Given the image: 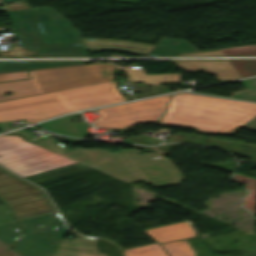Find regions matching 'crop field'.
<instances>
[{
    "mask_svg": "<svg viewBox=\"0 0 256 256\" xmlns=\"http://www.w3.org/2000/svg\"><path fill=\"white\" fill-rule=\"evenodd\" d=\"M256 116V104L194 93L174 94L159 124L231 134Z\"/></svg>",
    "mask_w": 256,
    "mask_h": 256,
    "instance_id": "8a807250",
    "label": "crop field"
},
{
    "mask_svg": "<svg viewBox=\"0 0 256 256\" xmlns=\"http://www.w3.org/2000/svg\"><path fill=\"white\" fill-rule=\"evenodd\" d=\"M115 81L0 101V121L26 119L28 124L61 114L124 101Z\"/></svg>",
    "mask_w": 256,
    "mask_h": 256,
    "instance_id": "ac0d7876",
    "label": "crop field"
},
{
    "mask_svg": "<svg viewBox=\"0 0 256 256\" xmlns=\"http://www.w3.org/2000/svg\"><path fill=\"white\" fill-rule=\"evenodd\" d=\"M120 69L113 64H89L73 67L30 70L25 81L0 83V100L41 94L60 89L114 80L112 71ZM12 92L10 96H5Z\"/></svg>",
    "mask_w": 256,
    "mask_h": 256,
    "instance_id": "34b2d1b8",
    "label": "crop field"
},
{
    "mask_svg": "<svg viewBox=\"0 0 256 256\" xmlns=\"http://www.w3.org/2000/svg\"><path fill=\"white\" fill-rule=\"evenodd\" d=\"M77 163L17 135L0 136V164L25 177Z\"/></svg>",
    "mask_w": 256,
    "mask_h": 256,
    "instance_id": "412701ff",
    "label": "crop field"
},
{
    "mask_svg": "<svg viewBox=\"0 0 256 256\" xmlns=\"http://www.w3.org/2000/svg\"><path fill=\"white\" fill-rule=\"evenodd\" d=\"M0 200L16 220L56 212L45 192L0 167Z\"/></svg>",
    "mask_w": 256,
    "mask_h": 256,
    "instance_id": "f4fd0767",
    "label": "crop field"
},
{
    "mask_svg": "<svg viewBox=\"0 0 256 256\" xmlns=\"http://www.w3.org/2000/svg\"><path fill=\"white\" fill-rule=\"evenodd\" d=\"M18 222L24 231L14 249L26 256H52L68 231L58 212Z\"/></svg>",
    "mask_w": 256,
    "mask_h": 256,
    "instance_id": "dd49c442",
    "label": "crop field"
},
{
    "mask_svg": "<svg viewBox=\"0 0 256 256\" xmlns=\"http://www.w3.org/2000/svg\"><path fill=\"white\" fill-rule=\"evenodd\" d=\"M34 144L73 159L77 162H80L125 182L141 180L140 175L133 170V168L129 165V163L120 152L109 153L99 149L82 148H74L73 150H69L50 137H47Z\"/></svg>",
    "mask_w": 256,
    "mask_h": 256,
    "instance_id": "e52e79f7",
    "label": "crop field"
},
{
    "mask_svg": "<svg viewBox=\"0 0 256 256\" xmlns=\"http://www.w3.org/2000/svg\"><path fill=\"white\" fill-rule=\"evenodd\" d=\"M170 95L100 108L94 124L104 128H124L133 124L158 121Z\"/></svg>",
    "mask_w": 256,
    "mask_h": 256,
    "instance_id": "d8731c3e",
    "label": "crop field"
},
{
    "mask_svg": "<svg viewBox=\"0 0 256 256\" xmlns=\"http://www.w3.org/2000/svg\"><path fill=\"white\" fill-rule=\"evenodd\" d=\"M144 182L154 188L181 184L184 180L174 164L156 153L136 155L139 150H119ZM186 180V179H185Z\"/></svg>",
    "mask_w": 256,
    "mask_h": 256,
    "instance_id": "5a996713",
    "label": "crop field"
},
{
    "mask_svg": "<svg viewBox=\"0 0 256 256\" xmlns=\"http://www.w3.org/2000/svg\"><path fill=\"white\" fill-rule=\"evenodd\" d=\"M43 32L45 45L84 44L80 31L50 7L33 9Z\"/></svg>",
    "mask_w": 256,
    "mask_h": 256,
    "instance_id": "3316defc",
    "label": "crop field"
},
{
    "mask_svg": "<svg viewBox=\"0 0 256 256\" xmlns=\"http://www.w3.org/2000/svg\"><path fill=\"white\" fill-rule=\"evenodd\" d=\"M8 14L21 46L37 52L42 46V38L31 10L11 11Z\"/></svg>",
    "mask_w": 256,
    "mask_h": 256,
    "instance_id": "28ad6ade",
    "label": "crop field"
},
{
    "mask_svg": "<svg viewBox=\"0 0 256 256\" xmlns=\"http://www.w3.org/2000/svg\"><path fill=\"white\" fill-rule=\"evenodd\" d=\"M173 62L187 71L203 69L207 72L214 73L221 82L241 78L240 74L227 60H190Z\"/></svg>",
    "mask_w": 256,
    "mask_h": 256,
    "instance_id": "d1516ede",
    "label": "crop field"
},
{
    "mask_svg": "<svg viewBox=\"0 0 256 256\" xmlns=\"http://www.w3.org/2000/svg\"><path fill=\"white\" fill-rule=\"evenodd\" d=\"M97 238L81 237L74 241L63 239L54 256H107L97 252Z\"/></svg>",
    "mask_w": 256,
    "mask_h": 256,
    "instance_id": "22f410ed",
    "label": "crop field"
},
{
    "mask_svg": "<svg viewBox=\"0 0 256 256\" xmlns=\"http://www.w3.org/2000/svg\"><path fill=\"white\" fill-rule=\"evenodd\" d=\"M145 232H147L159 243L195 236L193 230L187 222H179L167 226H162L146 230Z\"/></svg>",
    "mask_w": 256,
    "mask_h": 256,
    "instance_id": "cbeb9de0",
    "label": "crop field"
},
{
    "mask_svg": "<svg viewBox=\"0 0 256 256\" xmlns=\"http://www.w3.org/2000/svg\"><path fill=\"white\" fill-rule=\"evenodd\" d=\"M79 116H81L79 113L74 115H67L58 119L44 122L39 125L42 128H45L49 131L66 134V135L79 136V137L90 135L86 125H83L81 123L72 124L69 119L72 117H79Z\"/></svg>",
    "mask_w": 256,
    "mask_h": 256,
    "instance_id": "5142ce71",
    "label": "crop field"
},
{
    "mask_svg": "<svg viewBox=\"0 0 256 256\" xmlns=\"http://www.w3.org/2000/svg\"><path fill=\"white\" fill-rule=\"evenodd\" d=\"M198 52L189 42L180 39L161 38L146 56L177 55Z\"/></svg>",
    "mask_w": 256,
    "mask_h": 256,
    "instance_id": "d9b57169",
    "label": "crop field"
},
{
    "mask_svg": "<svg viewBox=\"0 0 256 256\" xmlns=\"http://www.w3.org/2000/svg\"><path fill=\"white\" fill-rule=\"evenodd\" d=\"M83 64V61L13 62L0 61V73Z\"/></svg>",
    "mask_w": 256,
    "mask_h": 256,
    "instance_id": "733c2abd",
    "label": "crop field"
},
{
    "mask_svg": "<svg viewBox=\"0 0 256 256\" xmlns=\"http://www.w3.org/2000/svg\"><path fill=\"white\" fill-rule=\"evenodd\" d=\"M84 45H49L42 46L35 56H85Z\"/></svg>",
    "mask_w": 256,
    "mask_h": 256,
    "instance_id": "4a817a6b",
    "label": "crop field"
},
{
    "mask_svg": "<svg viewBox=\"0 0 256 256\" xmlns=\"http://www.w3.org/2000/svg\"><path fill=\"white\" fill-rule=\"evenodd\" d=\"M129 79L132 81L144 82L149 84H163V83H180L179 74L166 75H144L143 71H127ZM165 77V79H162Z\"/></svg>",
    "mask_w": 256,
    "mask_h": 256,
    "instance_id": "bc2a9ffb",
    "label": "crop field"
},
{
    "mask_svg": "<svg viewBox=\"0 0 256 256\" xmlns=\"http://www.w3.org/2000/svg\"><path fill=\"white\" fill-rule=\"evenodd\" d=\"M126 256H168L160 245H146L124 250Z\"/></svg>",
    "mask_w": 256,
    "mask_h": 256,
    "instance_id": "214f88e0",
    "label": "crop field"
},
{
    "mask_svg": "<svg viewBox=\"0 0 256 256\" xmlns=\"http://www.w3.org/2000/svg\"><path fill=\"white\" fill-rule=\"evenodd\" d=\"M20 227L16 222L0 226V240L11 246L14 244L19 234L21 233Z\"/></svg>",
    "mask_w": 256,
    "mask_h": 256,
    "instance_id": "92a150f3",
    "label": "crop field"
},
{
    "mask_svg": "<svg viewBox=\"0 0 256 256\" xmlns=\"http://www.w3.org/2000/svg\"><path fill=\"white\" fill-rule=\"evenodd\" d=\"M242 77L256 75V60H229Z\"/></svg>",
    "mask_w": 256,
    "mask_h": 256,
    "instance_id": "dafd665d",
    "label": "crop field"
},
{
    "mask_svg": "<svg viewBox=\"0 0 256 256\" xmlns=\"http://www.w3.org/2000/svg\"><path fill=\"white\" fill-rule=\"evenodd\" d=\"M171 256H191L181 242H170L161 245Z\"/></svg>",
    "mask_w": 256,
    "mask_h": 256,
    "instance_id": "00972430",
    "label": "crop field"
},
{
    "mask_svg": "<svg viewBox=\"0 0 256 256\" xmlns=\"http://www.w3.org/2000/svg\"><path fill=\"white\" fill-rule=\"evenodd\" d=\"M241 82L248 88V90L245 92L235 94L233 96V98L256 93V79L255 78L242 80Z\"/></svg>",
    "mask_w": 256,
    "mask_h": 256,
    "instance_id": "a9b5d70f",
    "label": "crop field"
},
{
    "mask_svg": "<svg viewBox=\"0 0 256 256\" xmlns=\"http://www.w3.org/2000/svg\"><path fill=\"white\" fill-rule=\"evenodd\" d=\"M25 78H29L26 71L0 74V82Z\"/></svg>",
    "mask_w": 256,
    "mask_h": 256,
    "instance_id": "4177f3b9",
    "label": "crop field"
},
{
    "mask_svg": "<svg viewBox=\"0 0 256 256\" xmlns=\"http://www.w3.org/2000/svg\"><path fill=\"white\" fill-rule=\"evenodd\" d=\"M9 213L10 211L6 206L4 205L0 206V225L14 221Z\"/></svg>",
    "mask_w": 256,
    "mask_h": 256,
    "instance_id": "730fd06b",
    "label": "crop field"
},
{
    "mask_svg": "<svg viewBox=\"0 0 256 256\" xmlns=\"http://www.w3.org/2000/svg\"><path fill=\"white\" fill-rule=\"evenodd\" d=\"M255 48H256V46L235 48V49H226V50H223V52H224V54H229V53H234V52H239V51H244V50H249V49H255Z\"/></svg>",
    "mask_w": 256,
    "mask_h": 256,
    "instance_id": "eef30255",
    "label": "crop field"
},
{
    "mask_svg": "<svg viewBox=\"0 0 256 256\" xmlns=\"http://www.w3.org/2000/svg\"><path fill=\"white\" fill-rule=\"evenodd\" d=\"M243 128L251 129L256 131V117L249 121L243 126Z\"/></svg>",
    "mask_w": 256,
    "mask_h": 256,
    "instance_id": "ae1a2a85",
    "label": "crop field"
},
{
    "mask_svg": "<svg viewBox=\"0 0 256 256\" xmlns=\"http://www.w3.org/2000/svg\"><path fill=\"white\" fill-rule=\"evenodd\" d=\"M0 256H23V255H21L20 253L10 249L8 251L0 253Z\"/></svg>",
    "mask_w": 256,
    "mask_h": 256,
    "instance_id": "d3111659",
    "label": "crop field"
},
{
    "mask_svg": "<svg viewBox=\"0 0 256 256\" xmlns=\"http://www.w3.org/2000/svg\"><path fill=\"white\" fill-rule=\"evenodd\" d=\"M229 55H256V49L255 50H250V51L234 53V54H229Z\"/></svg>",
    "mask_w": 256,
    "mask_h": 256,
    "instance_id": "750c4746",
    "label": "crop field"
},
{
    "mask_svg": "<svg viewBox=\"0 0 256 256\" xmlns=\"http://www.w3.org/2000/svg\"><path fill=\"white\" fill-rule=\"evenodd\" d=\"M11 133H18V134H21L23 136H25L27 138V140L29 141H35L33 140L27 133H25L24 131H21V130H17V131H14V132H11ZM41 139V138H40ZM37 140V139H36ZM39 140V139H38Z\"/></svg>",
    "mask_w": 256,
    "mask_h": 256,
    "instance_id": "bd1437ed",
    "label": "crop field"
},
{
    "mask_svg": "<svg viewBox=\"0 0 256 256\" xmlns=\"http://www.w3.org/2000/svg\"><path fill=\"white\" fill-rule=\"evenodd\" d=\"M65 140L73 142L75 144L87 141V140H84V139H75V138H69V137H66Z\"/></svg>",
    "mask_w": 256,
    "mask_h": 256,
    "instance_id": "1d83c4d3",
    "label": "crop field"
},
{
    "mask_svg": "<svg viewBox=\"0 0 256 256\" xmlns=\"http://www.w3.org/2000/svg\"><path fill=\"white\" fill-rule=\"evenodd\" d=\"M239 99H245V100L256 101V94H254V95H249V96H245V97H240Z\"/></svg>",
    "mask_w": 256,
    "mask_h": 256,
    "instance_id": "120bbe31",
    "label": "crop field"
},
{
    "mask_svg": "<svg viewBox=\"0 0 256 256\" xmlns=\"http://www.w3.org/2000/svg\"><path fill=\"white\" fill-rule=\"evenodd\" d=\"M8 249H10V247H8L5 244H3L2 242H0V252H3Z\"/></svg>",
    "mask_w": 256,
    "mask_h": 256,
    "instance_id": "d32e631a",
    "label": "crop field"
},
{
    "mask_svg": "<svg viewBox=\"0 0 256 256\" xmlns=\"http://www.w3.org/2000/svg\"><path fill=\"white\" fill-rule=\"evenodd\" d=\"M183 245L187 248V250L191 253L192 256H194V252L192 249L188 246L187 242L182 241Z\"/></svg>",
    "mask_w": 256,
    "mask_h": 256,
    "instance_id": "5866460e",
    "label": "crop field"
}]
</instances>
